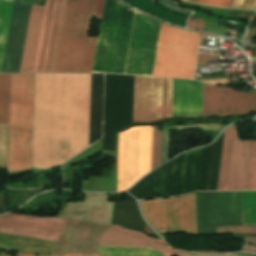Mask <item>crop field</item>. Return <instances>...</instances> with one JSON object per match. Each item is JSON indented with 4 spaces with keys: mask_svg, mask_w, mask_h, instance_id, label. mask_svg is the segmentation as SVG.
<instances>
[{
    "mask_svg": "<svg viewBox=\"0 0 256 256\" xmlns=\"http://www.w3.org/2000/svg\"><path fill=\"white\" fill-rule=\"evenodd\" d=\"M64 0L30 11L19 72H52ZM94 0H65L53 72L81 73Z\"/></svg>",
    "mask_w": 256,
    "mask_h": 256,
    "instance_id": "crop-field-1",
    "label": "crop field"
},
{
    "mask_svg": "<svg viewBox=\"0 0 256 256\" xmlns=\"http://www.w3.org/2000/svg\"><path fill=\"white\" fill-rule=\"evenodd\" d=\"M34 74H10L8 172L30 168Z\"/></svg>",
    "mask_w": 256,
    "mask_h": 256,
    "instance_id": "crop-field-2",
    "label": "crop field"
},
{
    "mask_svg": "<svg viewBox=\"0 0 256 256\" xmlns=\"http://www.w3.org/2000/svg\"><path fill=\"white\" fill-rule=\"evenodd\" d=\"M199 35L162 23L152 76L192 79Z\"/></svg>",
    "mask_w": 256,
    "mask_h": 256,
    "instance_id": "crop-field-3",
    "label": "crop field"
},
{
    "mask_svg": "<svg viewBox=\"0 0 256 256\" xmlns=\"http://www.w3.org/2000/svg\"><path fill=\"white\" fill-rule=\"evenodd\" d=\"M219 190H256V142H243L235 125L223 132Z\"/></svg>",
    "mask_w": 256,
    "mask_h": 256,
    "instance_id": "crop-field-4",
    "label": "crop field"
},
{
    "mask_svg": "<svg viewBox=\"0 0 256 256\" xmlns=\"http://www.w3.org/2000/svg\"><path fill=\"white\" fill-rule=\"evenodd\" d=\"M110 227L68 219L50 255L96 252L101 235ZM97 252H101V256H162L151 248L142 247H98Z\"/></svg>",
    "mask_w": 256,
    "mask_h": 256,
    "instance_id": "crop-field-5",
    "label": "crop field"
},
{
    "mask_svg": "<svg viewBox=\"0 0 256 256\" xmlns=\"http://www.w3.org/2000/svg\"><path fill=\"white\" fill-rule=\"evenodd\" d=\"M152 126L133 127L119 134L118 191L150 171Z\"/></svg>",
    "mask_w": 256,
    "mask_h": 256,
    "instance_id": "crop-field-6",
    "label": "crop field"
},
{
    "mask_svg": "<svg viewBox=\"0 0 256 256\" xmlns=\"http://www.w3.org/2000/svg\"><path fill=\"white\" fill-rule=\"evenodd\" d=\"M33 0H0V65L1 72H18L29 11Z\"/></svg>",
    "mask_w": 256,
    "mask_h": 256,
    "instance_id": "crop-field-7",
    "label": "crop field"
},
{
    "mask_svg": "<svg viewBox=\"0 0 256 256\" xmlns=\"http://www.w3.org/2000/svg\"><path fill=\"white\" fill-rule=\"evenodd\" d=\"M139 203L146 220L159 233L196 235L195 194Z\"/></svg>",
    "mask_w": 256,
    "mask_h": 256,
    "instance_id": "crop-field-8",
    "label": "crop field"
},
{
    "mask_svg": "<svg viewBox=\"0 0 256 256\" xmlns=\"http://www.w3.org/2000/svg\"><path fill=\"white\" fill-rule=\"evenodd\" d=\"M197 235L217 234L215 227L241 225L240 192L196 194Z\"/></svg>",
    "mask_w": 256,
    "mask_h": 256,
    "instance_id": "crop-field-9",
    "label": "crop field"
},
{
    "mask_svg": "<svg viewBox=\"0 0 256 256\" xmlns=\"http://www.w3.org/2000/svg\"><path fill=\"white\" fill-rule=\"evenodd\" d=\"M161 23L134 12L124 74L151 76Z\"/></svg>",
    "mask_w": 256,
    "mask_h": 256,
    "instance_id": "crop-field-10",
    "label": "crop field"
},
{
    "mask_svg": "<svg viewBox=\"0 0 256 256\" xmlns=\"http://www.w3.org/2000/svg\"><path fill=\"white\" fill-rule=\"evenodd\" d=\"M173 80L135 77V122L171 118Z\"/></svg>",
    "mask_w": 256,
    "mask_h": 256,
    "instance_id": "crop-field-11",
    "label": "crop field"
},
{
    "mask_svg": "<svg viewBox=\"0 0 256 256\" xmlns=\"http://www.w3.org/2000/svg\"><path fill=\"white\" fill-rule=\"evenodd\" d=\"M251 110L256 111V94H245V92H235L231 88L203 84L202 116L246 115Z\"/></svg>",
    "mask_w": 256,
    "mask_h": 256,
    "instance_id": "crop-field-12",
    "label": "crop field"
},
{
    "mask_svg": "<svg viewBox=\"0 0 256 256\" xmlns=\"http://www.w3.org/2000/svg\"><path fill=\"white\" fill-rule=\"evenodd\" d=\"M66 220L8 214L0 216V232L56 241Z\"/></svg>",
    "mask_w": 256,
    "mask_h": 256,
    "instance_id": "crop-field-13",
    "label": "crop field"
},
{
    "mask_svg": "<svg viewBox=\"0 0 256 256\" xmlns=\"http://www.w3.org/2000/svg\"><path fill=\"white\" fill-rule=\"evenodd\" d=\"M113 204L106 194L85 193V202H68L59 217L110 224Z\"/></svg>",
    "mask_w": 256,
    "mask_h": 256,
    "instance_id": "crop-field-14",
    "label": "crop field"
},
{
    "mask_svg": "<svg viewBox=\"0 0 256 256\" xmlns=\"http://www.w3.org/2000/svg\"><path fill=\"white\" fill-rule=\"evenodd\" d=\"M202 84L174 80L172 117L201 116Z\"/></svg>",
    "mask_w": 256,
    "mask_h": 256,
    "instance_id": "crop-field-15",
    "label": "crop field"
},
{
    "mask_svg": "<svg viewBox=\"0 0 256 256\" xmlns=\"http://www.w3.org/2000/svg\"><path fill=\"white\" fill-rule=\"evenodd\" d=\"M154 240V238L140 232L113 226L102 235L99 246H150L159 251L163 256L187 254L173 250L169 246L156 244Z\"/></svg>",
    "mask_w": 256,
    "mask_h": 256,
    "instance_id": "crop-field-16",
    "label": "crop field"
},
{
    "mask_svg": "<svg viewBox=\"0 0 256 256\" xmlns=\"http://www.w3.org/2000/svg\"><path fill=\"white\" fill-rule=\"evenodd\" d=\"M55 242L0 233V249L49 255Z\"/></svg>",
    "mask_w": 256,
    "mask_h": 256,
    "instance_id": "crop-field-17",
    "label": "crop field"
},
{
    "mask_svg": "<svg viewBox=\"0 0 256 256\" xmlns=\"http://www.w3.org/2000/svg\"><path fill=\"white\" fill-rule=\"evenodd\" d=\"M103 75H92L89 144L101 137Z\"/></svg>",
    "mask_w": 256,
    "mask_h": 256,
    "instance_id": "crop-field-18",
    "label": "crop field"
},
{
    "mask_svg": "<svg viewBox=\"0 0 256 256\" xmlns=\"http://www.w3.org/2000/svg\"><path fill=\"white\" fill-rule=\"evenodd\" d=\"M9 75H0V125H7Z\"/></svg>",
    "mask_w": 256,
    "mask_h": 256,
    "instance_id": "crop-field-19",
    "label": "crop field"
},
{
    "mask_svg": "<svg viewBox=\"0 0 256 256\" xmlns=\"http://www.w3.org/2000/svg\"><path fill=\"white\" fill-rule=\"evenodd\" d=\"M224 126L217 124H207V125H195V126H175V127H163L162 131V149H161V163L167 161V146H168V133L169 129H194V128H206V129H216L221 130Z\"/></svg>",
    "mask_w": 256,
    "mask_h": 256,
    "instance_id": "crop-field-20",
    "label": "crop field"
},
{
    "mask_svg": "<svg viewBox=\"0 0 256 256\" xmlns=\"http://www.w3.org/2000/svg\"><path fill=\"white\" fill-rule=\"evenodd\" d=\"M161 132L153 126L151 169L160 165Z\"/></svg>",
    "mask_w": 256,
    "mask_h": 256,
    "instance_id": "crop-field-21",
    "label": "crop field"
},
{
    "mask_svg": "<svg viewBox=\"0 0 256 256\" xmlns=\"http://www.w3.org/2000/svg\"><path fill=\"white\" fill-rule=\"evenodd\" d=\"M97 38L89 37L82 73H90Z\"/></svg>",
    "mask_w": 256,
    "mask_h": 256,
    "instance_id": "crop-field-22",
    "label": "crop field"
},
{
    "mask_svg": "<svg viewBox=\"0 0 256 256\" xmlns=\"http://www.w3.org/2000/svg\"><path fill=\"white\" fill-rule=\"evenodd\" d=\"M217 233H237V234H256V227L252 226H226L218 227Z\"/></svg>",
    "mask_w": 256,
    "mask_h": 256,
    "instance_id": "crop-field-23",
    "label": "crop field"
},
{
    "mask_svg": "<svg viewBox=\"0 0 256 256\" xmlns=\"http://www.w3.org/2000/svg\"><path fill=\"white\" fill-rule=\"evenodd\" d=\"M228 7L256 10V0H231Z\"/></svg>",
    "mask_w": 256,
    "mask_h": 256,
    "instance_id": "crop-field-24",
    "label": "crop field"
},
{
    "mask_svg": "<svg viewBox=\"0 0 256 256\" xmlns=\"http://www.w3.org/2000/svg\"><path fill=\"white\" fill-rule=\"evenodd\" d=\"M230 0H198L197 3L209 5V6H222L227 7Z\"/></svg>",
    "mask_w": 256,
    "mask_h": 256,
    "instance_id": "crop-field-25",
    "label": "crop field"
},
{
    "mask_svg": "<svg viewBox=\"0 0 256 256\" xmlns=\"http://www.w3.org/2000/svg\"><path fill=\"white\" fill-rule=\"evenodd\" d=\"M104 1L105 0H95V6H94V12H93V14L96 15L95 18L101 19Z\"/></svg>",
    "mask_w": 256,
    "mask_h": 256,
    "instance_id": "crop-field-26",
    "label": "crop field"
},
{
    "mask_svg": "<svg viewBox=\"0 0 256 256\" xmlns=\"http://www.w3.org/2000/svg\"><path fill=\"white\" fill-rule=\"evenodd\" d=\"M204 23L203 21L189 19L187 27L202 30Z\"/></svg>",
    "mask_w": 256,
    "mask_h": 256,
    "instance_id": "crop-field-27",
    "label": "crop field"
},
{
    "mask_svg": "<svg viewBox=\"0 0 256 256\" xmlns=\"http://www.w3.org/2000/svg\"><path fill=\"white\" fill-rule=\"evenodd\" d=\"M61 256H100V253H92V254H74V253H64Z\"/></svg>",
    "mask_w": 256,
    "mask_h": 256,
    "instance_id": "crop-field-28",
    "label": "crop field"
},
{
    "mask_svg": "<svg viewBox=\"0 0 256 256\" xmlns=\"http://www.w3.org/2000/svg\"><path fill=\"white\" fill-rule=\"evenodd\" d=\"M198 59H218V57L199 54Z\"/></svg>",
    "mask_w": 256,
    "mask_h": 256,
    "instance_id": "crop-field-29",
    "label": "crop field"
},
{
    "mask_svg": "<svg viewBox=\"0 0 256 256\" xmlns=\"http://www.w3.org/2000/svg\"><path fill=\"white\" fill-rule=\"evenodd\" d=\"M144 231L152 235V230L150 229V227L147 224L145 225Z\"/></svg>",
    "mask_w": 256,
    "mask_h": 256,
    "instance_id": "crop-field-30",
    "label": "crop field"
},
{
    "mask_svg": "<svg viewBox=\"0 0 256 256\" xmlns=\"http://www.w3.org/2000/svg\"><path fill=\"white\" fill-rule=\"evenodd\" d=\"M197 65H207V60H198Z\"/></svg>",
    "mask_w": 256,
    "mask_h": 256,
    "instance_id": "crop-field-31",
    "label": "crop field"
},
{
    "mask_svg": "<svg viewBox=\"0 0 256 256\" xmlns=\"http://www.w3.org/2000/svg\"><path fill=\"white\" fill-rule=\"evenodd\" d=\"M193 252H208V251H193ZM209 253H228V252H209Z\"/></svg>",
    "mask_w": 256,
    "mask_h": 256,
    "instance_id": "crop-field-32",
    "label": "crop field"
},
{
    "mask_svg": "<svg viewBox=\"0 0 256 256\" xmlns=\"http://www.w3.org/2000/svg\"><path fill=\"white\" fill-rule=\"evenodd\" d=\"M156 242L165 244L162 240H159V239H157Z\"/></svg>",
    "mask_w": 256,
    "mask_h": 256,
    "instance_id": "crop-field-33",
    "label": "crop field"
},
{
    "mask_svg": "<svg viewBox=\"0 0 256 256\" xmlns=\"http://www.w3.org/2000/svg\"><path fill=\"white\" fill-rule=\"evenodd\" d=\"M186 1H190V2L196 3L197 0H186Z\"/></svg>",
    "mask_w": 256,
    "mask_h": 256,
    "instance_id": "crop-field-34",
    "label": "crop field"
},
{
    "mask_svg": "<svg viewBox=\"0 0 256 256\" xmlns=\"http://www.w3.org/2000/svg\"><path fill=\"white\" fill-rule=\"evenodd\" d=\"M18 256H30V255H22V254H18Z\"/></svg>",
    "mask_w": 256,
    "mask_h": 256,
    "instance_id": "crop-field-35",
    "label": "crop field"
}]
</instances>
